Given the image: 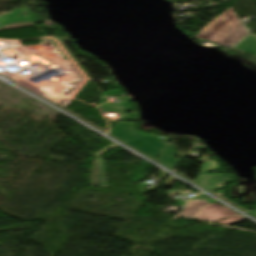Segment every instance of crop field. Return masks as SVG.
I'll use <instances>...</instances> for the list:
<instances>
[{
	"instance_id": "crop-field-1",
	"label": "crop field",
	"mask_w": 256,
	"mask_h": 256,
	"mask_svg": "<svg viewBox=\"0 0 256 256\" xmlns=\"http://www.w3.org/2000/svg\"><path fill=\"white\" fill-rule=\"evenodd\" d=\"M248 31L239 23L233 10H227L220 18L196 37L218 43L224 46H233L240 41Z\"/></svg>"
},
{
	"instance_id": "crop-field-2",
	"label": "crop field",
	"mask_w": 256,
	"mask_h": 256,
	"mask_svg": "<svg viewBox=\"0 0 256 256\" xmlns=\"http://www.w3.org/2000/svg\"><path fill=\"white\" fill-rule=\"evenodd\" d=\"M109 135L154 160L159 156L160 150L166 146L165 141L168 140L153 136L143 137L134 129L133 124L126 123H118Z\"/></svg>"
},
{
	"instance_id": "crop-field-3",
	"label": "crop field",
	"mask_w": 256,
	"mask_h": 256,
	"mask_svg": "<svg viewBox=\"0 0 256 256\" xmlns=\"http://www.w3.org/2000/svg\"><path fill=\"white\" fill-rule=\"evenodd\" d=\"M222 209H225V211H222ZM233 215L236 214L216 203H213L200 208L195 219L216 222Z\"/></svg>"
},
{
	"instance_id": "crop-field-4",
	"label": "crop field",
	"mask_w": 256,
	"mask_h": 256,
	"mask_svg": "<svg viewBox=\"0 0 256 256\" xmlns=\"http://www.w3.org/2000/svg\"><path fill=\"white\" fill-rule=\"evenodd\" d=\"M230 177L231 175L202 173L199 175L196 184L209 191L220 188L223 182L229 180Z\"/></svg>"
},
{
	"instance_id": "crop-field-5",
	"label": "crop field",
	"mask_w": 256,
	"mask_h": 256,
	"mask_svg": "<svg viewBox=\"0 0 256 256\" xmlns=\"http://www.w3.org/2000/svg\"><path fill=\"white\" fill-rule=\"evenodd\" d=\"M175 152L174 143H170L169 146L163 150L162 156L158 158L157 161L172 170L180 163V161L173 160Z\"/></svg>"
},
{
	"instance_id": "crop-field-6",
	"label": "crop field",
	"mask_w": 256,
	"mask_h": 256,
	"mask_svg": "<svg viewBox=\"0 0 256 256\" xmlns=\"http://www.w3.org/2000/svg\"><path fill=\"white\" fill-rule=\"evenodd\" d=\"M94 167H95V173H94L95 179L91 182L92 186L107 187L103 161L97 158L94 161Z\"/></svg>"
},
{
	"instance_id": "crop-field-7",
	"label": "crop field",
	"mask_w": 256,
	"mask_h": 256,
	"mask_svg": "<svg viewBox=\"0 0 256 256\" xmlns=\"http://www.w3.org/2000/svg\"><path fill=\"white\" fill-rule=\"evenodd\" d=\"M206 204H209V203L202 201V200H193V201L189 202L188 204H186L181 215L183 217L194 219L198 209L201 206H204Z\"/></svg>"
},
{
	"instance_id": "crop-field-8",
	"label": "crop field",
	"mask_w": 256,
	"mask_h": 256,
	"mask_svg": "<svg viewBox=\"0 0 256 256\" xmlns=\"http://www.w3.org/2000/svg\"><path fill=\"white\" fill-rule=\"evenodd\" d=\"M235 48L241 49L256 56V37L252 35L248 36Z\"/></svg>"
},
{
	"instance_id": "crop-field-9",
	"label": "crop field",
	"mask_w": 256,
	"mask_h": 256,
	"mask_svg": "<svg viewBox=\"0 0 256 256\" xmlns=\"http://www.w3.org/2000/svg\"><path fill=\"white\" fill-rule=\"evenodd\" d=\"M242 220H245V219L243 217L237 215L235 217H232V218H229L227 220L221 221V222H219V224L231 225V224L237 223V222L242 221Z\"/></svg>"
},
{
	"instance_id": "crop-field-10",
	"label": "crop field",
	"mask_w": 256,
	"mask_h": 256,
	"mask_svg": "<svg viewBox=\"0 0 256 256\" xmlns=\"http://www.w3.org/2000/svg\"><path fill=\"white\" fill-rule=\"evenodd\" d=\"M213 169H217L216 162L204 163L201 171H209Z\"/></svg>"
},
{
	"instance_id": "crop-field-11",
	"label": "crop field",
	"mask_w": 256,
	"mask_h": 256,
	"mask_svg": "<svg viewBox=\"0 0 256 256\" xmlns=\"http://www.w3.org/2000/svg\"><path fill=\"white\" fill-rule=\"evenodd\" d=\"M176 179H174L173 177H169L163 184L164 186H169L172 187V185L174 184Z\"/></svg>"
},
{
	"instance_id": "crop-field-12",
	"label": "crop field",
	"mask_w": 256,
	"mask_h": 256,
	"mask_svg": "<svg viewBox=\"0 0 256 256\" xmlns=\"http://www.w3.org/2000/svg\"><path fill=\"white\" fill-rule=\"evenodd\" d=\"M113 147H116V145L113 144L112 146H110V147L106 148L105 150L99 152V153H98V156L104 154L105 152H107L109 149H111V148H113Z\"/></svg>"
},
{
	"instance_id": "crop-field-13",
	"label": "crop field",
	"mask_w": 256,
	"mask_h": 256,
	"mask_svg": "<svg viewBox=\"0 0 256 256\" xmlns=\"http://www.w3.org/2000/svg\"><path fill=\"white\" fill-rule=\"evenodd\" d=\"M218 18H219V17H218ZM218 18H217V19H218ZM217 19H216V20H217ZM214 21H215V20H214ZM214 21H213V22H214ZM213 22H212V23H213ZM212 23H210L209 25H211ZM209 25H208V26H209ZM208 26H206L203 30H205ZM203 30H202V31H203ZM202 31H200V33H201Z\"/></svg>"
}]
</instances>
